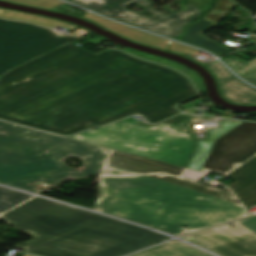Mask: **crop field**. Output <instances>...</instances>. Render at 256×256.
<instances>
[{
	"label": "crop field",
	"instance_id": "4a817a6b",
	"mask_svg": "<svg viewBox=\"0 0 256 256\" xmlns=\"http://www.w3.org/2000/svg\"><path fill=\"white\" fill-rule=\"evenodd\" d=\"M0 17L7 18V19H12V20L32 22V23H35L37 25L47 27V28H51V29H54V30H57V31L63 29V30H66L64 33H67V32L76 28L74 26H71V25H68V24H65V23H62V22H59V21L40 18V17H36V16H31V15H27V14L12 12V11L3 10V9H0Z\"/></svg>",
	"mask_w": 256,
	"mask_h": 256
},
{
	"label": "crop field",
	"instance_id": "ac0d7876",
	"mask_svg": "<svg viewBox=\"0 0 256 256\" xmlns=\"http://www.w3.org/2000/svg\"><path fill=\"white\" fill-rule=\"evenodd\" d=\"M96 210L175 236L248 216L226 188L166 174L101 176Z\"/></svg>",
	"mask_w": 256,
	"mask_h": 256
},
{
	"label": "crop field",
	"instance_id": "34b2d1b8",
	"mask_svg": "<svg viewBox=\"0 0 256 256\" xmlns=\"http://www.w3.org/2000/svg\"><path fill=\"white\" fill-rule=\"evenodd\" d=\"M27 243L80 256H122L169 238L115 219L34 197L0 216Z\"/></svg>",
	"mask_w": 256,
	"mask_h": 256
},
{
	"label": "crop field",
	"instance_id": "e52e79f7",
	"mask_svg": "<svg viewBox=\"0 0 256 256\" xmlns=\"http://www.w3.org/2000/svg\"><path fill=\"white\" fill-rule=\"evenodd\" d=\"M56 33L32 24L0 19V74L77 39L59 38Z\"/></svg>",
	"mask_w": 256,
	"mask_h": 256
},
{
	"label": "crop field",
	"instance_id": "8a807250",
	"mask_svg": "<svg viewBox=\"0 0 256 256\" xmlns=\"http://www.w3.org/2000/svg\"><path fill=\"white\" fill-rule=\"evenodd\" d=\"M194 90L165 67L111 49L94 54L69 42L5 72L0 118L62 135L133 113L156 123L179 113L173 105L197 95Z\"/></svg>",
	"mask_w": 256,
	"mask_h": 256
},
{
	"label": "crop field",
	"instance_id": "f4fd0767",
	"mask_svg": "<svg viewBox=\"0 0 256 256\" xmlns=\"http://www.w3.org/2000/svg\"><path fill=\"white\" fill-rule=\"evenodd\" d=\"M188 119L192 118L178 115L147 128L128 118L71 138L185 168L195 145L187 133L166 124Z\"/></svg>",
	"mask_w": 256,
	"mask_h": 256
},
{
	"label": "crop field",
	"instance_id": "5a996713",
	"mask_svg": "<svg viewBox=\"0 0 256 256\" xmlns=\"http://www.w3.org/2000/svg\"><path fill=\"white\" fill-rule=\"evenodd\" d=\"M233 224L208 229L183 239L221 256H256V216Z\"/></svg>",
	"mask_w": 256,
	"mask_h": 256
},
{
	"label": "crop field",
	"instance_id": "28ad6ade",
	"mask_svg": "<svg viewBox=\"0 0 256 256\" xmlns=\"http://www.w3.org/2000/svg\"><path fill=\"white\" fill-rule=\"evenodd\" d=\"M82 17H86V18L98 23L102 27H104L112 32H115L117 34H120L124 37H127L131 40H134V41L142 43V44L154 46L159 49L167 50V45L170 42L164 38L108 21L106 19H103L101 17L95 16L90 13H88ZM170 51L177 53V54H181V55L190 54L191 56H193L199 50H195V49L172 42L170 44Z\"/></svg>",
	"mask_w": 256,
	"mask_h": 256
},
{
	"label": "crop field",
	"instance_id": "412701ff",
	"mask_svg": "<svg viewBox=\"0 0 256 256\" xmlns=\"http://www.w3.org/2000/svg\"><path fill=\"white\" fill-rule=\"evenodd\" d=\"M108 148L56 136L0 121V167L53 157L65 173L6 184L32 193H40L35 181L55 185L67 179L101 173ZM79 157L85 164L78 169L67 168L63 160ZM65 161V160H64Z\"/></svg>",
	"mask_w": 256,
	"mask_h": 256
},
{
	"label": "crop field",
	"instance_id": "d8731c3e",
	"mask_svg": "<svg viewBox=\"0 0 256 256\" xmlns=\"http://www.w3.org/2000/svg\"><path fill=\"white\" fill-rule=\"evenodd\" d=\"M255 153L256 123L244 122L217 139L201 172L186 169L184 175L198 180L212 170L225 174Z\"/></svg>",
	"mask_w": 256,
	"mask_h": 256
},
{
	"label": "crop field",
	"instance_id": "4177f3b9",
	"mask_svg": "<svg viewBox=\"0 0 256 256\" xmlns=\"http://www.w3.org/2000/svg\"><path fill=\"white\" fill-rule=\"evenodd\" d=\"M214 0H187V3H193L203 14L208 11Z\"/></svg>",
	"mask_w": 256,
	"mask_h": 256
},
{
	"label": "crop field",
	"instance_id": "92a150f3",
	"mask_svg": "<svg viewBox=\"0 0 256 256\" xmlns=\"http://www.w3.org/2000/svg\"><path fill=\"white\" fill-rule=\"evenodd\" d=\"M17 247L25 249L24 252H28V253H32L40 256H76V255L63 253V252H59L51 249H46V248H42V247H38V246L26 244V243H23Z\"/></svg>",
	"mask_w": 256,
	"mask_h": 256
},
{
	"label": "crop field",
	"instance_id": "bc2a9ffb",
	"mask_svg": "<svg viewBox=\"0 0 256 256\" xmlns=\"http://www.w3.org/2000/svg\"><path fill=\"white\" fill-rule=\"evenodd\" d=\"M256 47V43L253 44ZM237 72L246 81L256 86V59L247 62L237 57L231 56L222 60Z\"/></svg>",
	"mask_w": 256,
	"mask_h": 256
},
{
	"label": "crop field",
	"instance_id": "5142ce71",
	"mask_svg": "<svg viewBox=\"0 0 256 256\" xmlns=\"http://www.w3.org/2000/svg\"><path fill=\"white\" fill-rule=\"evenodd\" d=\"M216 24L217 23L203 16L195 22L188 25L186 33L177 40L204 48L219 56L229 51V49L224 48L222 45L204 37L201 34L203 31L215 26Z\"/></svg>",
	"mask_w": 256,
	"mask_h": 256
},
{
	"label": "crop field",
	"instance_id": "bd1437ed",
	"mask_svg": "<svg viewBox=\"0 0 256 256\" xmlns=\"http://www.w3.org/2000/svg\"><path fill=\"white\" fill-rule=\"evenodd\" d=\"M66 1H68V0H66Z\"/></svg>",
	"mask_w": 256,
	"mask_h": 256
},
{
	"label": "crop field",
	"instance_id": "ae1a2a85",
	"mask_svg": "<svg viewBox=\"0 0 256 256\" xmlns=\"http://www.w3.org/2000/svg\"><path fill=\"white\" fill-rule=\"evenodd\" d=\"M14 205L8 204L6 202L0 201V213L6 211L7 209L13 207Z\"/></svg>",
	"mask_w": 256,
	"mask_h": 256
},
{
	"label": "crop field",
	"instance_id": "214f88e0",
	"mask_svg": "<svg viewBox=\"0 0 256 256\" xmlns=\"http://www.w3.org/2000/svg\"><path fill=\"white\" fill-rule=\"evenodd\" d=\"M234 5L230 0H216L213 9L204 16L218 23Z\"/></svg>",
	"mask_w": 256,
	"mask_h": 256
},
{
	"label": "crop field",
	"instance_id": "eef30255",
	"mask_svg": "<svg viewBox=\"0 0 256 256\" xmlns=\"http://www.w3.org/2000/svg\"><path fill=\"white\" fill-rule=\"evenodd\" d=\"M125 49V48H124ZM123 51H126L128 53H131L135 56H138V57H141V58H144L146 60H150V61H154V62H157L160 58L159 57H155V56H150V55H145V54H141V53H137V52H134V51H130V50H123Z\"/></svg>",
	"mask_w": 256,
	"mask_h": 256
},
{
	"label": "crop field",
	"instance_id": "22f410ed",
	"mask_svg": "<svg viewBox=\"0 0 256 256\" xmlns=\"http://www.w3.org/2000/svg\"><path fill=\"white\" fill-rule=\"evenodd\" d=\"M62 169L53 158L0 168V183L6 184L57 173Z\"/></svg>",
	"mask_w": 256,
	"mask_h": 256
},
{
	"label": "crop field",
	"instance_id": "d3111659",
	"mask_svg": "<svg viewBox=\"0 0 256 256\" xmlns=\"http://www.w3.org/2000/svg\"><path fill=\"white\" fill-rule=\"evenodd\" d=\"M255 155H256V154H255ZM255 155H254V156H255ZM252 157H253V156H252ZM252 157H251V158H252ZM249 159H250V158H249ZM249 159H248V160H249ZM246 161H247V160H246ZM246 161H245V162H246ZM243 163H244V162H243ZM243 163L235 164V165H234V169L237 168L238 166H240V165L243 164ZM234 169H233V170H234ZM231 171H232V170H231ZM231 171H230V172H231ZM228 173H229V172H228ZM228 173H227V174H228ZM225 175H226V174H225Z\"/></svg>",
	"mask_w": 256,
	"mask_h": 256
},
{
	"label": "crop field",
	"instance_id": "750c4746",
	"mask_svg": "<svg viewBox=\"0 0 256 256\" xmlns=\"http://www.w3.org/2000/svg\"><path fill=\"white\" fill-rule=\"evenodd\" d=\"M23 256H31V255L24 254Z\"/></svg>",
	"mask_w": 256,
	"mask_h": 256
},
{
	"label": "crop field",
	"instance_id": "dafd665d",
	"mask_svg": "<svg viewBox=\"0 0 256 256\" xmlns=\"http://www.w3.org/2000/svg\"><path fill=\"white\" fill-rule=\"evenodd\" d=\"M29 197L31 196L0 187V200L6 201L8 203L16 205V202H22Z\"/></svg>",
	"mask_w": 256,
	"mask_h": 256
},
{
	"label": "crop field",
	"instance_id": "3316defc",
	"mask_svg": "<svg viewBox=\"0 0 256 256\" xmlns=\"http://www.w3.org/2000/svg\"><path fill=\"white\" fill-rule=\"evenodd\" d=\"M206 67L216 75L223 98L236 104H256V89L236 78L218 60Z\"/></svg>",
	"mask_w": 256,
	"mask_h": 256
},
{
	"label": "crop field",
	"instance_id": "d9b57169",
	"mask_svg": "<svg viewBox=\"0 0 256 256\" xmlns=\"http://www.w3.org/2000/svg\"><path fill=\"white\" fill-rule=\"evenodd\" d=\"M240 123H242V121L222 120L219 123L220 127L218 129L208 130V139L196 140L199 146L193 154L187 168L200 171L215 140L239 125Z\"/></svg>",
	"mask_w": 256,
	"mask_h": 256
},
{
	"label": "crop field",
	"instance_id": "730fd06b",
	"mask_svg": "<svg viewBox=\"0 0 256 256\" xmlns=\"http://www.w3.org/2000/svg\"><path fill=\"white\" fill-rule=\"evenodd\" d=\"M145 174H152V173H145ZM101 175H134V173H130V172H126V171H122V170L104 166ZM181 178L185 179L184 176H182ZM186 180H188V179H186ZM190 181H194V180H190ZM194 182H196V181H194Z\"/></svg>",
	"mask_w": 256,
	"mask_h": 256
},
{
	"label": "crop field",
	"instance_id": "d1516ede",
	"mask_svg": "<svg viewBox=\"0 0 256 256\" xmlns=\"http://www.w3.org/2000/svg\"><path fill=\"white\" fill-rule=\"evenodd\" d=\"M107 166L135 172H165L168 174L181 176L184 168L164 164L143 157L114 151L109 149L105 164Z\"/></svg>",
	"mask_w": 256,
	"mask_h": 256
},
{
	"label": "crop field",
	"instance_id": "733c2abd",
	"mask_svg": "<svg viewBox=\"0 0 256 256\" xmlns=\"http://www.w3.org/2000/svg\"><path fill=\"white\" fill-rule=\"evenodd\" d=\"M131 256H212L176 240L169 241L154 248Z\"/></svg>",
	"mask_w": 256,
	"mask_h": 256
},
{
	"label": "crop field",
	"instance_id": "a9b5d70f",
	"mask_svg": "<svg viewBox=\"0 0 256 256\" xmlns=\"http://www.w3.org/2000/svg\"><path fill=\"white\" fill-rule=\"evenodd\" d=\"M159 63L166 64L168 66L177 68V69L187 73L188 75H190L192 77V79L194 80V82L197 84L198 87H203L201 78L196 73L192 72L190 69H188L184 66H181V65H179L175 62L168 61V60H165V59H162L161 61H159Z\"/></svg>",
	"mask_w": 256,
	"mask_h": 256
},
{
	"label": "crop field",
	"instance_id": "00972430",
	"mask_svg": "<svg viewBox=\"0 0 256 256\" xmlns=\"http://www.w3.org/2000/svg\"><path fill=\"white\" fill-rule=\"evenodd\" d=\"M8 1L35 6V7L46 8V9H51L59 5L65 4L58 0H8Z\"/></svg>",
	"mask_w": 256,
	"mask_h": 256
},
{
	"label": "crop field",
	"instance_id": "cbeb9de0",
	"mask_svg": "<svg viewBox=\"0 0 256 256\" xmlns=\"http://www.w3.org/2000/svg\"><path fill=\"white\" fill-rule=\"evenodd\" d=\"M227 176L237 179L227 186L233 191L245 208L247 209L253 205L256 202V156Z\"/></svg>",
	"mask_w": 256,
	"mask_h": 256
},
{
	"label": "crop field",
	"instance_id": "dd49c442",
	"mask_svg": "<svg viewBox=\"0 0 256 256\" xmlns=\"http://www.w3.org/2000/svg\"><path fill=\"white\" fill-rule=\"evenodd\" d=\"M69 2L173 39L183 33L186 23L203 15L193 4L185 5L188 9L180 13L164 8L170 13L165 16L151 8L150 6L153 3L147 0H70ZM132 3H136L146 9L139 14L129 12L125 6ZM145 13L153 16L147 17L143 15Z\"/></svg>",
	"mask_w": 256,
	"mask_h": 256
}]
</instances>
